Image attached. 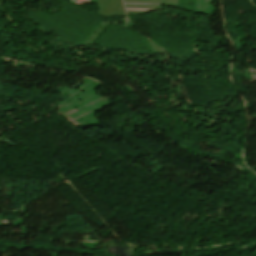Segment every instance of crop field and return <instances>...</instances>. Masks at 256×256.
<instances>
[{
    "label": "crop field",
    "mask_w": 256,
    "mask_h": 256,
    "mask_svg": "<svg viewBox=\"0 0 256 256\" xmlns=\"http://www.w3.org/2000/svg\"><path fill=\"white\" fill-rule=\"evenodd\" d=\"M98 10L99 15L101 16H117V15H126L122 0H98Z\"/></svg>",
    "instance_id": "8a807250"
},
{
    "label": "crop field",
    "mask_w": 256,
    "mask_h": 256,
    "mask_svg": "<svg viewBox=\"0 0 256 256\" xmlns=\"http://www.w3.org/2000/svg\"><path fill=\"white\" fill-rule=\"evenodd\" d=\"M128 14L164 10V4L124 2Z\"/></svg>",
    "instance_id": "ac0d7876"
},
{
    "label": "crop field",
    "mask_w": 256,
    "mask_h": 256,
    "mask_svg": "<svg viewBox=\"0 0 256 256\" xmlns=\"http://www.w3.org/2000/svg\"><path fill=\"white\" fill-rule=\"evenodd\" d=\"M73 4H96L97 0H69Z\"/></svg>",
    "instance_id": "34b2d1b8"
},
{
    "label": "crop field",
    "mask_w": 256,
    "mask_h": 256,
    "mask_svg": "<svg viewBox=\"0 0 256 256\" xmlns=\"http://www.w3.org/2000/svg\"><path fill=\"white\" fill-rule=\"evenodd\" d=\"M124 1L164 3L165 0H124Z\"/></svg>",
    "instance_id": "412701ff"
},
{
    "label": "crop field",
    "mask_w": 256,
    "mask_h": 256,
    "mask_svg": "<svg viewBox=\"0 0 256 256\" xmlns=\"http://www.w3.org/2000/svg\"><path fill=\"white\" fill-rule=\"evenodd\" d=\"M179 0H166L165 6H178Z\"/></svg>",
    "instance_id": "f4fd0767"
}]
</instances>
